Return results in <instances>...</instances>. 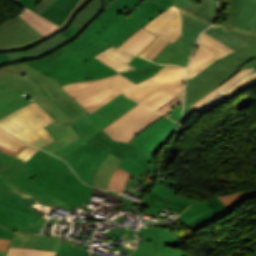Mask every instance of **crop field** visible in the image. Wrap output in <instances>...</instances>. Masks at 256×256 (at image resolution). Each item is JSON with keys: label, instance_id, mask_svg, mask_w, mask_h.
I'll return each instance as SVG.
<instances>
[{"label": "crop field", "instance_id": "e52e79f7", "mask_svg": "<svg viewBox=\"0 0 256 256\" xmlns=\"http://www.w3.org/2000/svg\"><path fill=\"white\" fill-rule=\"evenodd\" d=\"M86 142L88 143L69 154L64 160L80 179L89 185L92 183L98 164L109 152L122 160L129 156L136 161L145 153L129 143L112 141L103 130Z\"/></svg>", "mask_w": 256, "mask_h": 256}, {"label": "crop field", "instance_id": "733c2abd", "mask_svg": "<svg viewBox=\"0 0 256 256\" xmlns=\"http://www.w3.org/2000/svg\"><path fill=\"white\" fill-rule=\"evenodd\" d=\"M39 37L42 35L19 15L0 25V46L23 44Z\"/></svg>", "mask_w": 256, "mask_h": 256}, {"label": "crop field", "instance_id": "ade564c9", "mask_svg": "<svg viewBox=\"0 0 256 256\" xmlns=\"http://www.w3.org/2000/svg\"><path fill=\"white\" fill-rule=\"evenodd\" d=\"M107 249H109V248H107ZM110 250H113V249H110ZM118 250L121 251V252H124V253L128 254L127 256H129V255L134 251V250L124 249V248H121V247H119ZM114 251H115V250H114ZM117 256H118V255H117Z\"/></svg>", "mask_w": 256, "mask_h": 256}, {"label": "crop field", "instance_id": "b54c1fbb", "mask_svg": "<svg viewBox=\"0 0 256 256\" xmlns=\"http://www.w3.org/2000/svg\"><path fill=\"white\" fill-rule=\"evenodd\" d=\"M0 203L4 204L6 206L24 211V212H28L31 214H37L36 212L32 211L30 208H28L26 205H24L19 200L1 192V191H0ZM37 215H39V214H37Z\"/></svg>", "mask_w": 256, "mask_h": 256}, {"label": "crop field", "instance_id": "d23c7cc5", "mask_svg": "<svg viewBox=\"0 0 256 256\" xmlns=\"http://www.w3.org/2000/svg\"><path fill=\"white\" fill-rule=\"evenodd\" d=\"M256 195V190L245 191V192H235L228 193L222 196H218V198L225 204L229 205L231 203L237 202L242 199H246L249 197H253Z\"/></svg>", "mask_w": 256, "mask_h": 256}, {"label": "crop field", "instance_id": "c21b1889", "mask_svg": "<svg viewBox=\"0 0 256 256\" xmlns=\"http://www.w3.org/2000/svg\"><path fill=\"white\" fill-rule=\"evenodd\" d=\"M212 57L211 54L208 52L204 51L201 48H197L194 51L193 58L189 64L188 67V75L192 74L194 71H196L199 67H201L203 64H205L208 60H210Z\"/></svg>", "mask_w": 256, "mask_h": 256}, {"label": "crop field", "instance_id": "e1d0b9f6", "mask_svg": "<svg viewBox=\"0 0 256 256\" xmlns=\"http://www.w3.org/2000/svg\"><path fill=\"white\" fill-rule=\"evenodd\" d=\"M10 240L0 239V251H6Z\"/></svg>", "mask_w": 256, "mask_h": 256}, {"label": "crop field", "instance_id": "0fb4a251", "mask_svg": "<svg viewBox=\"0 0 256 256\" xmlns=\"http://www.w3.org/2000/svg\"><path fill=\"white\" fill-rule=\"evenodd\" d=\"M39 149L29 146L24 151H22L17 157L23 161H27L31 156H33Z\"/></svg>", "mask_w": 256, "mask_h": 256}, {"label": "crop field", "instance_id": "214f88e0", "mask_svg": "<svg viewBox=\"0 0 256 256\" xmlns=\"http://www.w3.org/2000/svg\"><path fill=\"white\" fill-rule=\"evenodd\" d=\"M40 0H17V2L32 10ZM79 0H55L42 14L57 25H62Z\"/></svg>", "mask_w": 256, "mask_h": 256}, {"label": "crop field", "instance_id": "1f2cbd36", "mask_svg": "<svg viewBox=\"0 0 256 256\" xmlns=\"http://www.w3.org/2000/svg\"><path fill=\"white\" fill-rule=\"evenodd\" d=\"M202 38H204L205 40H207L208 42L212 43L213 45L217 46L218 48H220L221 50L225 51L226 53H231L234 50L228 48L227 46H225L224 44L220 43L219 41H217L216 39H214L213 37L209 36L206 33H202L201 36Z\"/></svg>", "mask_w": 256, "mask_h": 256}, {"label": "crop field", "instance_id": "4a817a6b", "mask_svg": "<svg viewBox=\"0 0 256 256\" xmlns=\"http://www.w3.org/2000/svg\"><path fill=\"white\" fill-rule=\"evenodd\" d=\"M125 77L117 74L108 78L90 81H81L62 88L71 95L77 102H82L112 86Z\"/></svg>", "mask_w": 256, "mask_h": 256}, {"label": "crop field", "instance_id": "425ffa30", "mask_svg": "<svg viewBox=\"0 0 256 256\" xmlns=\"http://www.w3.org/2000/svg\"><path fill=\"white\" fill-rule=\"evenodd\" d=\"M62 182L67 183V184H69V185H71V186H73V187H76V188L89 190V192H88V194H87V197H86V199H85V201H84V202H87V203L89 202V199H90V197H91V194H92V191H93L94 188L89 187V186L83 184V183L77 178V176H76L73 172L70 173L66 178H64V179L62 180Z\"/></svg>", "mask_w": 256, "mask_h": 256}, {"label": "crop field", "instance_id": "28ad6ade", "mask_svg": "<svg viewBox=\"0 0 256 256\" xmlns=\"http://www.w3.org/2000/svg\"><path fill=\"white\" fill-rule=\"evenodd\" d=\"M137 104L122 95L118 96L93 114H89L71 124L81 138L57 150L53 154L63 159L73 150L83 146L85 144L83 142L84 140L92 137Z\"/></svg>", "mask_w": 256, "mask_h": 256}, {"label": "crop field", "instance_id": "34b2d1b8", "mask_svg": "<svg viewBox=\"0 0 256 256\" xmlns=\"http://www.w3.org/2000/svg\"><path fill=\"white\" fill-rule=\"evenodd\" d=\"M109 47L111 45L102 40L77 53L63 47L42 59L27 63L49 77L57 78L60 86L81 80L99 79L118 73L93 57ZM163 66L128 70L119 74L137 84L153 76Z\"/></svg>", "mask_w": 256, "mask_h": 256}, {"label": "crop field", "instance_id": "1d83c4d3", "mask_svg": "<svg viewBox=\"0 0 256 256\" xmlns=\"http://www.w3.org/2000/svg\"><path fill=\"white\" fill-rule=\"evenodd\" d=\"M13 1L15 2L16 0ZM20 6L25 9L24 12L19 14L21 18L27 21L36 31H38L43 36L58 29L59 26L55 25L51 21L35 14L34 12L30 11L29 9L22 5Z\"/></svg>", "mask_w": 256, "mask_h": 256}, {"label": "crop field", "instance_id": "dbb93151", "mask_svg": "<svg viewBox=\"0 0 256 256\" xmlns=\"http://www.w3.org/2000/svg\"><path fill=\"white\" fill-rule=\"evenodd\" d=\"M48 220H49V218L34 215L28 227L45 228Z\"/></svg>", "mask_w": 256, "mask_h": 256}, {"label": "crop field", "instance_id": "5a996713", "mask_svg": "<svg viewBox=\"0 0 256 256\" xmlns=\"http://www.w3.org/2000/svg\"><path fill=\"white\" fill-rule=\"evenodd\" d=\"M54 120L36 103H30L0 120V127L20 139L43 147L54 141L43 127Z\"/></svg>", "mask_w": 256, "mask_h": 256}, {"label": "crop field", "instance_id": "ac0d7876", "mask_svg": "<svg viewBox=\"0 0 256 256\" xmlns=\"http://www.w3.org/2000/svg\"><path fill=\"white\" fill-rule=\"evenodd\" d=\"M16 90L36 101L55 121L71 124L89 114L58 84L26 62L0 68V95Z\"/></svg>", "mask_w": 256, "mask_h": 256}, {"label": "crop field", "instance_id": "d1516ede", "mask_svg": "<svg viewBox=\"0 0 256 256\" xmlns=\"http://www.w3.org/2000/svg\"><path fill=\"white\" fill-rule=\"evenodd\" d=\"M182 16V35L186 51L191 55L199 33L212 24L216 18L215 2L202 0L198 5L194 0H173Z\"/></svg>", "mask_w": 256, "mask_h": 256}, {"label": "crop field", "instance_id": "d9b57169", "mask_svg": "<svg viewBox=\"0 0 256 256\" xmlns=\"http://www.w3.org/2000/svg\"><path fill=\"white\" fill-rule=\"evenodd\" d=\"M178 125L163 117L142 131L130 143L154 156L163 143L171 138Z\"/></svg>", "mask_w": 256, "mask_h": 256}, {"label": "crop field", "instance_id": "750c4746", "mask_svg": "<svg viewBox=\"0 0 256 256\" xmlns=\"http://www.w3.org/2000/svg\"><path fill=\"white\" fill-rule=\"evenodd\" d=\"M156 37L150 31L141 28L135 34L131 35L119 48L138 54Z\"/></svg>", "mask_w": 256, "mask_h": 256}, {"label": "crop field", "instance_id": "7b73153f", "mask_svg": "<svg viewBox=\"0 0 256 256\" xmlns=\"http://www.w3.org/2000/svg\"><path fill=\"white\" fill-rule=\"evenodd\" d=\"M152 161H153L152 157L143 154V156L140 158V160L138 162L146 167Z\"/></svg>", "mask_w": 256, "mask_h": 256}, {"label": "crop field", "instance_id": "5d738f31", "mask_svg": "<svg viewBox=\"0 0 256 256\" xmlns=\"http://www.w3.org/2000/svg\"><path fill=\"white\" fill-rule=\"evenodd\" d=\"M254 70V69H249V70H241L238 73H236L234 76H232L230 79H228L226 82H224L222 85H220L218 88H216L214 91H212L210 94H208L206 97H204L203 99H201L199 102H197L196 104H194L192 107V109H196L198 106H200L203 102H205L206 100H208L209 98H211L212 96H214L216 93H218L219 91H221L222 89L226 88L227 86H229L230 84H232L234 81H236L238 78H240L242 75L246 74L247 72Z\"/></svg>", "mask_w": 256, "mask_h": 256}, {"label": "crop field", "instance_id": "4177f3b9", "mask_svg": "<svg viewBox=\"0 0 256 256\" xmlns=\"http://www.w3.org/2000/svg\"><path fill=\"white\" fill-rule=\"evenodd\" d=\"M95 57L118 72L134 68L127 63L131 61L135 57V55L123 52L114 47L105 50L104 52L98 54Z\"/></svg>", "mask_w": 256, "mask_h": 256}, {"label": "crop field", "instance_id": "1d79db26", "mask_svg": "<svg viewBox=\"0 0 256 256\" xmlns=\"http://www.w3.org/2000/svg\"><path fill=\"white\" fill-rule=\"evenodd\" d=\"M129 64H131L132 66H134L136 68L158 65V64H153V63H151L145 59H142L140 57H137V56L131 62H129Z\"/></svg>", "mask_w": 256, "mask_h": 256}, {"label": "crop field", "instance_id": "b80d0937", "mask_svg": "<svg viewBox=\"0 0 256 256\" xmlns=\"http://www.w3.org/2000/svg\"><path fill=\"white\" fill-rule=\"evenodd\" d=\"M197 45L201 48H203L204 50L208 51L209 53H211L212 55H214L215 57L213 59H211L210 61H208L205 65H203L201 68H199L196 72H194L192 75H190L189 77H187V80H189L190 78H192L193 76H195L197 73H199L201 70H203L205 67H207L209 64H211L214 60H216L217 58H222L225 55H227L226 53H224L223 51H221L220 49L216 48L215 46H213L212 44L208 43L207 41H205L202 38H199Z\"/></svg>", "mask_w": 256, "mask_h": 256}, {"label": "crop field", "instance_id": "d3111659", "mask_svg": "<svg viewBox=\"0 0 256 256\" xmlns=\"http://www.w3.org/2000/svg\"><path fill=\"white\" fill-rule=\"evenodd\" d=\"M121 160L112 154H108L101 161L98 170L96 172L95 178L93 180V186L107 188L109 179Z\"/></svg>", "mask_w": 256, "mask_h": 256}, {"label": "crop field", "instance_id": "d8731c3e", "mask_svg": "<svg viewBox=\"0 0 256 256\" xmlns=\"http://www.w3.org/2000/svg\"><path fill=\"white\" fill-rule=\"evenodd\" d=\"M204 32L234 50L245 46L256 33V0H229L228 19Z\"/></svg>", "mask_w": 256, "mask_h": 256}, {"label": "crop field", "instance_id": "db79e9e6", "mask_svg": "<svg viewBox=\"0 0 256 256\" xmlns=\"http://www.w3.org/2000/svg\"><path fill=\"white\" fill-rule=\"evenodd\" d=\"M53 1L54 0H41L34 9L42 13Z\"/></svg>", "mask_w": 256, "mask_h": 256}, {"label": "crop field", "instance_id": "bd1437ed", "mask_svg": "<svg viewBox=\"0 0 256 256\" xmlns=\"http://www.w3.org/2000/svg\"><path fill=\"white\" fill-rule=\"evenodd\" d=\"M138 235L158 244L169 245L175 248L180 244V241L169 233L166 228L139 229Z\"/></svg>", "mask_w": 256, "mask_h": 256}, {"label": "crop field", "instance_id": "e1f06a70", "mask_svg": "<svg viewBox=\"0 0 256 256\" xmlns=\"http://www.w3.org/2000/svg\"><path fill=\"white\" fill-rule=\"evenodd\" d=\"M210 210H212V209H210L203 203H196V204H193L192 206H190L189 208H187L178 217V220L186 224V223L198 218L199 216L209 212Z\"/></svg>", "mask_w": 256, "mask_h": 256}, {"label": "crop field", "instance_id": "eef30255", "mask_svg": "<svg viewBox=\"0 0 256 256\" xmlns=\"http://www.w3.org/2000/svg\"><path fill=\"white\" fill-rule=\"evenodd\" d=\"M132 256H187V254L172 247L157 245L148 240L141 239Z\"/></svg>", "mask_w": 256, "mask_h": 256}, {"label": "crop field", "instance_id": "89e229c0", "mask_svg": "<svg viewBox=\"0 0 256 256\" xmlns=\"http://www.w3.org/2000/svg\"><path fill=\"white\" fill-rule=\"evenodd\" d=\"M99 190H100V189L95 188L93 193L100 194V195H104V196H106L105 199L116 202L113 208L106 207V206H103L102 208H104V209H106V210H109V211H111L112 209L122 208L123 205L117 203L118 198H119L118 196L100 193ZM90 201H91V200H90ZM89 203H90V202H89ZM88 205H89V204L84 203L83 208H87ZM87 209H90V208H87Z\"/></svg>", "mask_w": 256, "mask_h": 256}, {"label": "crop field", "instance_id": "cbeb9de0", "mask_svg": "<svg viewBox=\"0 0 256 256\" xmlns=\"http://www.w3.org/2000/svg\"><path fill=\"white\" fill-rule=\"evenodd\" d=\"M180 14L174 5L156 17L144 28L158 37L151 42L139 55L153 61L156 55L169 43H175L181 36ZM138 55V56H139Z\"/></svg>", "mask_w": 256, "mask_h": 256}, {"label": "crop field", "instance_id": "c5b07064", "mask_svg": "<svg viewBox=\"0 0 256 256\" xmlns=\"http://www.w3.org/2000/svg\"><path fill=\"white\" fill-rule=\"evenodd\" d=\"M112 0H104V8H105V6L108 4V3H110Z\"/></svg>", "mask_w": 256, "mask_h": 256}, {"label": "crop field", "instance_id": "5142ce71", "mask_svg": "<svg viewBox=\"0 0 256 256\" xmlns=\"http://www.w3.org/2000/svg\"><path fill=\"white\" fill-rule=\"evenodd\" d=\"M161 117L163 116L157 112L139 104L103 130L112 140L130 142L142 130Z\"/></svg>", "mask_w": 256, "mask_h": 256}, {"label": "crop field", "instance_id": "c39391a2", "mask_svg": "<svg viewBox=\"0 0 256 256\" xmlns=\"http://www.w3.org/2000/svg\"><path fill=\"white\" fill-rule=\"evenodd\" d=\"M119 229L114 235V239H120L122 236H124L127 232L124 231L123 229H120L119 227L117 228Z\"/></svg>", "mask_w": 256, "mask_h": 256}, {"label": "crop field", "instance_id": "0bd39190", "mask_svg": "<svg viewBox=\"0 0 256 256\" xmlns=\"http://www.w3.org/2000/svg\"><path fill=\"white\" fill-rule=\"evenodd\" d=\"M255 84H256V71L246 76L245 78L240 80L238 83H236L235 85H233L223 93L231 98Z\"/></svg>", "mask_w": 256, "mask_h": 256}, {"label": "crop field", "instance_id": "dd49c442", "mask_svg": "<svg viewBox=\"0 0 256 256\" xmlns=\"http://www.w3.org/2000/svg\"><path fill=\"white\" fill-rule=\"evenodd\" d=\"M24 168L29 174L24 178L37 190L81 207L88 191L72 188L60 182L72 171L63 160L40 150L26 162Z\"/></svg>", "mask_w": 256, "mask_h": 256}, {"label": "crop field", "instance_id": "0f1d7ab4", "mask_svg": "<svg viewBox=\"0 0 256 256\" xmlns=\"http://www.w3.org/2000/svg\"><path fill=\"white\" fill-rule=\"evenodd\" d=\"M9 64H10V62H9L7 56L5 55V53H0V67L9 65Z\"/></svg>", "mask_w": 256, "mask_h": 256}, {"label": "crop field", "instance_id": "0765c3eb", "mask_svg": "<svg viewBox=\"0 0 256 256\" xmlns=\"http://www.w3.org/2000/svg\"><path fill=\"white\" fill-rule=\"evenodd\" d=\"M156 183L161 184V185H164V186H166V187H170V188H172V189H177V190H179V189L181 188V186H182V184L177 183V182H173V181H167V182H165V181L157 180Z\"/></svg>", "mask_w": 256, "mask_h": 256}, {"label": "crop field", "instance_id": "bc2a9ffb", "mask_svg": "<svg viewBox=\"0 0 256 256\" xmlns=\"http://www.w3.org/2000/svg\"><path fill=\"white\" fill-rule=\"evenodd\" d=\"M63 240L64 238L56 236L30 235L16 232L9 246L57 251ZM6 253L0 252V256H6Z\"/></svg>", "mask_w": 256, "mask_h": 256}, {"label": "crop field", "instance_id": "730fd06b", "mask_svg": "<svg viewBox=\"0 0 256 256\" xmlns=\"http://www.w3.org/2000/svg\"><path fill=\"white\" fill-rule=\"evenodd\" d=\"M204 204H206L213 210L207 213L206 215L186 224L195 232L231 211L217 197L207 202H204Z\"/></svg>", "mask_w": 256, "mask_h": 256}, {"label": "crop field", "instance_id": "c3a83c6f", "mask_svg": "<svg viewBox=\"0 0 256 256\" xmlns=\"http://www.w3.org/2000/svg\"><path fill=\"white\" fill-rule=\"evenodd\" d=\"M0 230H5V229H3V228L0 227ZM7 231H10V230H7ZM11 232H14V233H15V231H11Z\"/></svg>", "mask_w": 256, "mask_h": 256}, {"label": "crop field", "instance_id": "00972430", "mask_svg": "<svg viewBox=\"0 0 256 256\" xmlns=\"http://www.w3.org/2000/svg\"><path fill=\"white\" fill-rule=\"evenodd\" d=\"M142 205L150 207L147 211L148 213L157 215L162 208L172 210L180 214L190 204L150 192L142 202Z\"/></svg>", "mask_w": 256, "mask_h": 256}, {"label": "crop field", "instance_id": "c035e120", "mask_svg": "<svg viewBox=\"0 0 256 256\" xmlns=\"http://www.w3.org/2000/svg\"><path fill=\"white\" fill-rule=\"evenodd\" d=\"M130 174L131 173L117 167L107 189L121 192Z\"/></svg>", "mask_w": 256, "mask_h": 256}, {"label": "crop field", "instance_id": "8a807250", "mask_svg": "<svg viewBox=\"0 0 256 256\" xmlns=\"http://www.w3.org/2000/svg\"><path fill=\"white\" fill-rule=\"evenodd\" d=\"M172 0H114L67 49L78 51L102 39L119 47L131 34L167 10Z\"/></svg>", "mask_w": 256, "mask_h": 256}, {"label": "crop field", "instance_id": "d32e631a", "mask_svg": "<svg viewBox=\"0 0 256 256\" xmlns=\"http://www.w3.org/2000/svg\"><path fill=\"white\" fill-rule=\"evenodd\" d=\"M92 0H81L80 3L77 5V7L75 8L74 12L72 13V15L69 17V19L67 20V22L61 27L59 28L55 33L43 37V38H39L36 39L28 44L25 45H21V46H15V47H9V48H0V52H12V51H18V50H23V49H27V48H31L39 43H41L42 41H44L46 38L53 36L63 30H65L66 28L69 27L70 23L72 22V20L74 19V17L87 5L91 2Z\"/></svg>", "mask_w": 256, "mask_h": 256}, {"label": "crop field", "instance_id": "a9b5d70f", "mask_svg": "<svg viewBox=\"0 0 256 256\" xmlns=\"http://www.w3.org/2000/svg\"><path fill=\"white\" fill-rule=\"evenodd\" d=\"M188 55L185 53L181 37L172 45L168 44L154 59V62L185 66L188 63Z\"/></svg>", "mask_w": 256, "mask_h": 256}, {"label": "crop field", "instance_id": "447ae74e", "mask_svg": "<svg viewBox=\"0 0 256 256\" xmlns=\"http://www.w3.org/2000/svg\"><path fill=\"white\" fill-rule=\"evenodd\" d=\"M181 111H182V105L177 107L174 111L167 114L166 116H168V117H170V118H172V119H174V120H176L177 122L180 123V121H181Z\"/></svg>", "mask_w": 256, "mask_h": 256}, {"label": "crop field", "instance_id": "028f5c9d", "mask_svg": "<svg viewBox=\"0 0 256 256\" xmlns=\"http://www.w3.org/2000/svg\"><path fill=\"white\" fill-rule=\"evenodd\" d=\"M118 167L133 173L135 179L141 181L142 184H146V185L148 183L144 182L139 176L143 173L146 174L150 171H153V170L157 169L154 161L145 168L142 165H140L138 162L132 160L129 157L126 158L125 160H123L122 162H120Z\"/></svg>", "mask_w": 256, "mask_h": 256}, {"label": "crop field", "instance_id": "3316defc", "mask_svg": "<svg viewBox=\"0 0 256 256\" xmlns=\"http://www.w3.org/2000/svg\"><path fill=\"white\" fill-rule=\"evenodd\" d=\"M103 12V0H93L73 20L64 32L46 39L38 46L19 52L6 53L11 63L42 58L75 40Z\"/></svg>", "mask_w": 256, "mask_h": 256}, {"label": "crop field", "instance_id": "120bbe31", "mask_svg": "<svg viewBox=\"0 0 256 256\" xmlns=\"http://www.w3.org/2000/svg\"><path fill=\"white\" fill-rule=\"evenodd\" d=\"M30 102L32 101L16 91L0 96V118Z\"/></svg>", "mask_w": 256, "mask_h": 256}, {"label": "crop field", "instance_id": "fb207236", "mask_svg": "<svg viewBox=\"0 0 256 256\" xmlns=\"http://www.w3.org/2000/svg\"><path fill=\"white\" fill-rule=\"evenodd\" d=\"M196 1V3L198 4L201 0H195ZM216 1V0H215Z\"/></svg>", "mask_w": 256, "mask_h": 256}, {"label": "crop field", "instance_id": "73cf0c24", "mask_svg": "<svg viewBox=\"0 0 256 256\" xmlns=\"http://www.w3.org/2000/svg\"><path fill=\"white\" fill-rule=\"evenodd\" d=\"M152 192H155V193H158L161 195H165V196L171 197L173 199L182 200V201L188 202L190 204L194 203L193 201H189V200H186L183 198L176 197V192L174 190H172L170 188H166V187L158 185V184L154 185Z\"/></svg>", "mask_w": 256, "mask_h": 256}, {"label": "crop field", "instance_id": "25e5ab78", "mask_svg": "<svg viewBox=\"0 0 256 256\" xmlns=\"http://www.w3.org/2000/svg\"><path fill=\"white\" fill-rule=\"evenodd\" d=\"M89 252L82 251L74 246L62 243L56 256H88Z\"/></svg>", "mask_w": 256, "mask_h": 256}, {"label": "crop field", "instance_id": "5866460e", "mask_svg": "<svg viewBox=\"0 0 256 256\" xmlns=\"http://www.w3.org/2000/svg\"><path fill=\"white\" fill-rule=\"evenodd\" d=\"M27 143L0 129V151L16 156Z\"/></svg>", "mask_w": 256, "mask_h": 256}, {"label": "crop field", "instance_id": "412701ff", "mask_svg": "<svg viewBox=\"0 0 256 256\" xmlns=\"http://www.w3.org/2000/svg\"><path fill=\"white\" fill-rule=\"evenodd\" d=\"M185 71L182 67L166 65L152 78L138 85L125 78L81 105L91 114L123 93L157 111L183 95Z\"/></svg>", "mask_w": 256, "mask_h": 256}, {"label": "crop field", "instance_id": "22f410ed", "mask_svg": "<svg viewBox=\"0 0 256 256\" xmlns=\"http://www.w3.org/2000/svg\"><path fill=\"white\" fill-rule=\"evenodd\" d=\"M28 175L24 168L18 172L12 180L1 189L26 204L42 216L48 217L56 207L65 209L79 208L50 198L33 188L23 177Z\"/></svg>", "mask_w": 256, "mask_h": 256}, {"label": "crop field", "instance_id": "03da06ac", "mask_svg": "<svg viewBox=\"0 0 256 256\" xmlns=\"http://www.w3.org/2000/svg\"><path fill=\"white\" fill-rule=\"evenodd\" d=\"M56 252L10 247L7 256H55Z\"/></svg>", "mask_w": 256, "mask_h": 256}, {"label": "crop field", "instance_id": "9d1cf04e", "mask_svg": "<svg viewBox=\"0 0 256 256\" xmlns=\"http://www.w3.org/2000/svg\"><path fill=\"white\" fill-rule=\"evenodd\" d=\"M180 104H182V96L180 98H178L177 100H175L174 102L170 103L169 105L165 106L158 112L165 115V114L171 112L172 110H174Z\"/></svg>", "mask_w": 256, "mask_h": 256}, {"label": "crop field", "instance_id": "ae1a2a85", "mask_svg": "<svg viewBox=\"0 0 256 256\" xmlns=\"http://www.w3.org/2000/svg\"><path fill=\"white\" fill-rule=\"evenodd\" d=\"M25 165V162L17 157L0 152V189L4 187L10 179Z\"/></svg>", "mask_w": 256, "mask_h": 256}, {"label": "crop field", "instance_id": "f4fd0767", "mask_svg": "<svg viewBox=\"0 0 256 256\" xmlns=\"http://www.w3.org/2000/svg\"><path fill=\"white\" fill-rule=\"evenodd\" d=\"M245 68H256V37L245 47L213 62L198 75L187 81L184 119L194 110L189 107L206 96L221 83Z\"/></svg>", "mask_w": 256, "mask_h": 256}, {"label": "crop field", "instance_id": "78b8030e", "mask_svg": "<svg viewBox=\"0 0 256 256\" xmlns=\"http://www.w3.org/2000/svg\"><path fill=\"white\" fill-rule=\"evenodd\" d=\"M225 97H226V96H225ZM228 100H230V99L226 97V98H224V99L218 101L217 103L213 104L212 106L206 108L205 110L201 111L200 113L203 114V113L209 111L210 109H212V108H214V107H216V106H218V105H220V104H222V103H224V102H226V101H228Z\"/></svg>", "mask_w": 256, "mask_h": 256}, {"label": "crop field", "instance_id": "92a150f3", "mask_svg": "<svg viewBox=\"0 0 256 256\" xmlns=\"http://www.w3.org/2000/svg\"><path fill=\"white\" fill-rule=\"evenodd\" d=\"M31 217V214H27L0 204V225L18 231L43 234L44 229H32L27 227Z\"/></svg>", "mask_w": 256, "mask_h": 256}, {"label": "crop field", "instance_id": "dafd665d", "mask_svg": "<svg viewBox=\"0 0 256 256\" xmlns=\"http://www.w3.org/2000/svg\"><path fill=\"white\" fill-rule=\"evenodd\" d=\"M48 132L55 138V142L43 147L42 149L52 153L62 146L80 138L71 125H64L54 122L46 127Z\"/></svg>", "mask_w": 256, "mask_h": 256}, {"label": "crop field", "instance_id": "ae633e8c", "mask_svg": "<svg viewBox=\"0 0 256 256\" xmlns=\"http://www.w3.org/2000/svg\"><path fill=\"white\" fill-rule=\"evenodd\" d=\"M225 96L224 95H219L217 98H215L214 100H212V101H210L209 103H207L206 105H204L203 107H201L199 110H197V111H201V110H203V109H205L206 107H208V106H210V105H212L213 103H215V102H217L218 100H220V99H222V98H224Z\"/></svg>", "mask_w": 256, "mask_h": 256}, {"label": "crop field", "instance_id": "d14b1444", "mask_svg": "<svg viewBox=\"0 0 256 256\" xmlns=\"http://www.w3.org/2000/svg\"><path fill=\"white\" fill-rule=\"evenodd\" d=\"M13 236H14V233L6 232V231H0V238L12 239Z\"/></svg>", "mask_w": 256, "mask_h": 256}]
</instances>
